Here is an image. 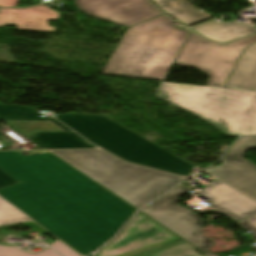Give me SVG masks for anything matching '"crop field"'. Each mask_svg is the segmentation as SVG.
<instances>
[{"instance_id":"34b2d1b8","label":"crop field","mask_w":256,"mask_h":256,"mask_svg":"<svg viewBox=\"0 0 256 256\" xmlns=\"http://www.w3.org/2000/svg\"><path fill=\"white\" fill-rule=\"evenodd\" d=\"M156 97L231 137L256 134V93L160 82Z\"/></svg>"},{"instance_id":"f4fd0767","label":"crop field","mask_w":256,"mask_h":256,"mask_svg":"<svg viewBox=\"0 0 256 256\" xmlns=\"http://www.w3.org/2000/svg\"><path fill=\"white\" fill-rule=\"evenodd\" d=\"M54 118L123 160L182 176L195 167L103 115L76 113Z\"/></svg>"},{"instance_id":"a9b5d70f","label":"crop field","mask_w":256,"mask_h":256,"mask_svg":"<svg viewBox=\"0 0 256 256\" xmlns=\"http://www.w3.org/2000/svg\"><path fill=\"white\" fill-rule=\"evenodd\" d=\"M18 0H1L0 6L3 7H16Z\"/></svg>"},{"instance_id":"d1516ede","label":"crop field","mask_w":256,"mask_h":256,"mask_svg":"<svg viewBox=\"0 0 256 256\" xmlns=\"http://www.w3.org/2000/svg\"><path fill=\"white\" fill-rule=\"evenodd\" d=\"M201 188L204 190L198 194L209 198L204 202L238 222L256 213L255 201L218 180L207 186L201 184Z\"/></svg>"},{"instance_id":"cbeb9de0","label":"crop field","mask_w":256,"mask_h":256,"mask_svg":"<svg viewBox=\"0 0 256 256\" xmlns=\"http://www.w3.org/2000/svg\"><path fill=\"white\" fill-rule=\"evenodd\" d=\"M224 88L256 92V43L244 49Z\"/></svg>"},{"instance_id":"d9b57169","label":"crop field","mask_w":256,"mask_h":256,"mask_svg":"<svg viewBox=\"0 0 256 256\" xmlns=\"http://www.w3.org/2000/svg\"><path fill=\"white\" fill-rule=\"evenodd\" d=\"M165 13L186 26L209 20L211 14L202 13L186 0H153Z\"/></svg>"},{"instance_id":"92a150f3","label":"crop field","mask_w":256,"mask_h":256,"mask_svg":"<svg viewBox=\"0 0 256 256\" xmlns=\"http://www.w3.org/2000/svg\"><path fill=\"white\" fill-rule=\"evenodd\" d=\"M241 226L248 229L249 231L253 232V236L256 240V214L247 220L240 223Z\"/></svg>"},{"instance_id":"8a807250","label":"crop field","mask_w":256,"mask_h":256,"mask_svg":"<svg viewBox=\"0 0 256 256\" xmlns=\"http://www.w3.org/2000/svg\"><path fill=\"white\" fill-rule=\"evenodd\" d=\"M0 168L20 182L0 196L82 255L136 211L47 151L0 152Z\"/></svg>"},{"instance_id":"28ad6ade","label":"crop field","mask_w":256,"mask_h":256,"mask_svg":"<svg viewBox=\"0 0 256 256\" xmlns=\"http://www.w3.org/2000/svg\"><path fill=\"white\" fill-rule=\"evenodd\" d=\"M32 107L0 104V120H50L66 132H40L28 136L45 149L48 148H97L54 118H39Z\"/></svg>"},{"instance_id":"733c2abd","label":"crop field","mask_w":256,"mask_h":256,"mask_svg":"<svg viewBox=\"0 0 256 256\" xmlns=\"http://www.w3.org/2000/svg\"><path fill=\"white\" fill-rule=\"evenodd\" d=\"M195 248L186 241L182 240L159 249L147 252L145 256H201L192 249Z\"/></svg>"},{"instance_id":"bc2a9ffb","label":"crop field","mask_w":256,"mask_h":256,"mask_svg":"<svg viewBox=\"0 0 256 256\" xmlns=\"http://www.w3.org/2000/svg\"><path fill=\"white\" fill-rule=\"evenodd\" d=\"M0 256H60L50 248L38 254L27 253L17 247L0 246Z\"/></svg>"},{"instance_id":"e52e79f7","label":"crop field","mask_w":256,"mask_h":256,"mask_svg":"<svg viewBox=\"0 0 256 256\" xmlns=\"http://www.w3.org/2000/svg\"><path fill=\"white\" fill-rule=\"evenodd\" d=\"M189 190L191 189L180 184L146 207L143 212L210 256L212 254L207 250L214 242L200 234L204 220L176 204L178 198Z\"/></svg>"},{"instance_id":"00972430","label":"crop field","mask_w":256,"mask_h":256,"mask_svg":"<svg viewBox=\"0 0 256 256\" xmlns=\"http://www.w3.org/2000/svg\"><path fill=\"white\" fill-rule=\"evenodd\" d=\"M28 224L30 227H32L34 230L32 231H28V232H24V234L26 233H30V232H34V231H38L41 234H48L47 231H45L44 229H42L40 226H38L36 223L30 222V223H26Z\"/></svg>"},{"instance_id":"dd49c442","label":"crop field","mask_w":256,"mask_h":256,"mask_svg":"<svg viewBox=\"0 0 256 256\" xmlns=\"http://www.w3.org/2000/svg\"><path fill=\"white\" fill-rule=\"evenodd\" d=\"M254 42L256 36L218 45L190 32L174 64L195 67L211 76L206 86L223 88L243 49Z\"/></svg>"},{"instance_id":"412701ff","label":"crop field","mask_w":256,"mask_h":256,"mask_svg":"<svg viewBox=\"0 0 256 256\" xmlns=\"http://www.w3.org/2000/svg\"><path fill=\"white\" fill-rule=\"evenodd\" d=\"M49 152L138 209L184 179L130 165L100 150Z\"/></svg>"},{"instance_id":"22f410ed","label":"crop field","mask_w":256,"mask_h":256,"mask_svg":"<svg viewBox=\"0 0 256 256\" xmlns=\"http://www.w3.org/2000/svg\"><path fill=\"white\" fill-rule=\"evenodd\" d=\"M59 12L44 5L25 9L0 8V28L13 24L17 29L55 32L48 20L58 19Z\"/></svg>"},{"instance_id":"ac0d7876","label":"crop field","mask_w":256,"mask_h":256,"mask_svg":"<svg viewBox=\"0 0 256 256\" xmlns=\"http://www.w3.org/2000/svg\"><path fill=\"white\" fill-rule=\"evenodd\" d=\"M162 15L126 30L102 73L164 81L190 31Z\"/></svg>"},{"instance_id":"214f88e0","label":"crop field","mask_w":256,"mask_h":256,"mask_svg":"<svg viewBox=\"0 0 256 256\" xmlns=\"http://www.w3.org/2000/svg\"><path fill=\"white\" fill-rule=\"evenodd\" d=\"M50 246L53 247L55 250H57L63 256H79L70 248L63 245L61 242H59L58 240L53 242Z\"/></svg>"},{"instance_id":"5a996713","label":"crop field","mask_w":256,"mask_h":256,"mask_svg":"<svg viewBox=\"0 0 256 256\" xmlns=\"http://www.w3.org/2000/svg\"><path fill=\"white\" fill-rule=\"evenodd\" d=\"M77 9L90 17L131 27L162 15L148 0H74Z\"/></svg>"},{"instance_id":"d8731c3e","label":"crop field","mask_w":256,"mask_h":256,"mask_svg":"<svg viewBox=\"0 0 256 256\" xmlns=\"http://www.w3.org/2000/svg\"><path fill=\"white\" fill-rule=\"evenodd\" d=\"M179 239L139 212L96 256H132Z\"/></svg>"},{"instance_id":"3316defc","label":"crop field","mask_w":256,"mask_h":256,"mask_svg":"<svg viewBox=\"0 0 256 256\" xmlns=\"http://www.w3.org/2000/svg\"><path fill=\"white\" fill-rule=\"evenodd\" d=\"M253 148L256 137L243 139L225 154L220 166L206 171L256 199V165L242 158Z\"/></svg>"},{"instance_id":"4177f3b9","label":"crop field","mask_w":256,"mask_h":256,"mask_svg":"<svg viewBox=\"0 0 256 256\" xmlns=\"http://www.w3.org/2000/svg\"><path fill=\"white\" fill-rule=\"evenodd\" d=\"M216 255V254H215ZM215 255H212V256H215Z\"/></svg>"},{"instance_id":"4a817a6b","label":"crop field","mask_w":256,"mask_h":256,"mask_svg":"<svg viewBox=\"0 0 256 256\" xmlns=\"http://www.w3.org/2000/svg\"><path fill=\"white\" fill-rule=\"evenodd\" d=\"M32 220L29 216L0 197V225Z\"/></svg>"},{"instance_id":"5142ce71","label":"crop field","mask_w":256,"mask_h":256,"mask_svg":"<svg viewBox=\"0 0 256 256\" xmlns=\"http://www.w3.org/2000/svg\"><path fill=\"white\" fill-rule=\"evenodd\" d=\"M192 29L208 39L221 43L256 33V30L251 26L237 22L218 23L211 21L200 26L192 27Z\"/></svg>"},{"instance_id":"dafd665d","label":"crop field","mask_w":256,"mask_h":256,"mask_svg":"<svg viewBox=\"0 0 256 256\" xmlns=\"http://www.w3.org/2000/svg\"><path fill=\"white\" fill-rule=\"evenodd\" d=\"M15 183L18 182L0 169V189Z\"/></svg>"}]
</instances>
